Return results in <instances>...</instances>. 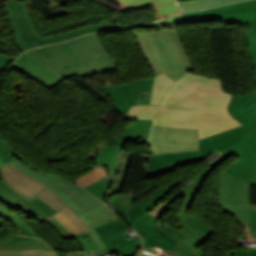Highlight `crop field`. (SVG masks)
<instances>
[{"label":"crop field","instance_id":"dafd665d","mask_svg":"<svg viewBox=\"0 0 256 256\" xmlns=\"http://www.w3.org/2000/svg\"><path fill=\"white\" fill-rule=\"evenodd\" d=\"M8 210V208L0 203V216L3 215L8 220H12L20 235L39 237L25 222L19 218V216L15 217ZM0 225H3L1 221Z\"/></svg>","mask_w":256,"mask_h":256},{"label":"crop field","instance_id":"34b2d1b8","mask_svg":"<svg viewBox=\"0 0 256 256\" xmlns=\"http://www.w3.org/2000/svg\"><path fill=\"white\" fill-rule=\"evenodd\" d=\"M10 68L49 89L68 77L77 75L83 79L117 66L95 33L27 51Z\"/></svg>","mask_w":256,"mask_h":256},{"label":"crop field","instance_id":"5866460e","mask_svg":"<svg viewBox=\"0 0 256 256\" xmlns=\"http://www.w3.org/2000/svg\"><path fill=\"white\" fill-rule=\"evenodd\" d=\"M251 182L256 184V168H255V171L253 173Z\"/></svg>","mask_w":256,"mask_h":256},{"label":"crop field","instance_id":"214f88e0","mask_svg":"<svg viewBox=\"0 0 256 256\" xmlns=\"http://www.w3.org/2000/svg\"><path fill=\"white\" fill-rule=\"evenodd\" d=\"M173 82L174 81L165 74L155 76L150 104L157 105L159 100L167 92Z\"/></svg>","mask_w":256,"mask_h":256},{"label":"crop field","instance_id":"22f410ed","mask_svg":"<svg viewBox=\"0 0 256 256\" xmlns=\"http://www.w3.org/2000/svg\"><path fill=\"white\" fill-rule=\"evenodd\" d=\"M0 202L7 206L9 209L21 210L27 216L33 218L38 222H42L43 220H45L59 233L63 240L71 238V236L64 229V227L55 219L50 217L57 212L40 199L37 198L29 202L1 182Z\"/></svg>","mask_w":256,"mask_h":256},{"label":"crop field","instance_id":"412701ff","mask_svg":"<svg viewBox=\"0 0 256 256\" xmlns=\"http://www.w3.org/2000/svg\"><path fill=\"white\" fill-rule=\"evenodd\" d=\"M228 110L243 125L200 140V151L151 156L150 167L143 178L175 170L174 167L203 160L217 151L223 153L256 130V92L233 96Z\"/></svg>","mask_w":256,"mask_h":256},{"label":"crop field","instance_id":"5a996713","mask_svg":"<svg viewBox=\"0 0 256 256\" xmlns=\"http://www.w3.org/2000/svg\"><path fill=\"white\" fill-rule=\"evenodd\" d=\"M0 177L6 185L29 201L38 197L56 211L63 212L85 235L90 233L82 221L48 187L34 180L9 162L0 166Z\"/></svg>","mask_w":256,"mask_h":256},{"label":"crop field","instance_id":"bd1437ed","mask_svg":"<svg viewBox=\"0 0 256 256\" xmlns=\"http://www.w3.org/2000/svg\"><path fill=\"white\" fill-rule=\"evenodd\" d=\"M226 256H256V248L248 247L247 250H231Z\"/></svg>","mask_w":256,"mask_h":256},{"label":"crop field","instance_id":"00972430","mask_svg":"<svg viewBox=\"0 0 256 256\" xmlns=\"http://www.w3.org/2000/svg\"><path fill=\"white\" fill-rule=\"evenodd\" d=\"M239 0H191V1H180L178 5L183 11L197 10L212 6H217L229 2H234Z\"/></svg>","mask_w":256,"mask_h":256},{"label":"crop field","instance_id":"750c4746","mask_svg":"<svg viewBox=\"0 0 256 256\" xmlns=\"http://www.w3.org/2000/svg\"><path fill=\"white\" fill-rule=\"evenodd\" d=\"M74 237L78 240V242L81 244V246L83 247V249L85 251H87V250H96L93 243L91 242V240L88 238L87 235L84 236L81 233L79 235H75Z\"/></svg>","mask_w":256,"mask_h":256},{"label":"crop field","instance_id":"ac0d7876","mask_svg":"<svg viewBox=\"0 0 256 256\" xmlns=\"http://www.w3.org/2000/svg\"><path fill=\"white\" fill-rule=\"evenodd\" d=\"M211 166L198 173L189 185L176 194L186 198L178 213V222L182 229L176 230L167 224L156 227V218L145 211L153 206L158 200L167 195L180 181L161 187L141 201L134 204L126 213L121 216L129 222L133 228L146 240L141 251L155 256L158 252L167 251L173 256H203L195 247L204 243L213 233L202 220L195 216L187 215L189 206L195 195L201 188Z\"/></svg>","mask_w":256,"mask_h":256},{"label":"crop field","instance_id":"e52e79f7","mask_svg":"<svg viewBox=\"0 0 256 256\" xmlns=\"http://www.w3.org/2000/svg\"><path fill=\"white\" fill-rule=\"evenodd\" d=\"M219 203L246 230L241 238L256 240V206L249 205V184L226 173L219 176Z\"/></svg>","mask_w":256,"mask_h":256},{"label":"crop field","instance_id":"d8731c3e","mask_svg":"<svg viewBox=\"0 0 256 256\" xmlns=\"http://www.w3.org/2000/svg\"><path fill=\"white\" fill-rule=\"evenodd\" d=\"M3 5L13 27L19 50L22 52L33 47L98 31V24H95L41 38L24 4L18 5L17 2L13 0Z\"/></svg>","mask_w":256,"mask_h":256},{"label":"crop field","instance_id":"d1516ede","mask_svg":"<svg viewBox=\"0 0 256 256\" xmlns=\"http://www.w3.org/2000/svg\"><path fill=\"white\" fill-rule=\"evenodd\" d=\"M152 155L199 150L198 129L154 126L150 136Z\"/></svg>","mask_w":256,"mask_h":256},{"label":"crop field","instance_id":"bc2a9ffb","mask_svg":"<svg viewBox=\"0 0 256 256\" xmlns=\"http://www.w3.org/2000/svg\"><path fill=\"white\" fill-rule=\"evenodd\" d=\"M153 79H142L128 82L137 104H149Z\"/></svg>","mask_w":256,"mask_h":256},{"label":"crop field","instance_id":"d9b57169","mask_svg":"<svg viewBox=\"0 0 256 256\" xmlns=\"http://www.w3.org/2000/svg\"><path fill=\"white\" fill-rule=\"evenodd\" d=\"M78 217L83 221V223L92 232L91 236L96 241L99 249L100 250L106 249L103 242L98 237V235L95 232L93 227L103 224L105 222L111 221L113 219H116L117 217H116L115 213L103 204L101 206H98L96 208H93L87 212H84V213L78 215Z\"/></svg>","mask_w":256,"mask_h":256},{"label":"crop field","instance_id":"d3111659","mask_svg":"<svg viewBox=\"0 0 256 256\" xmlns=\"http://www.w3.org/2000/svg\"><path fill=\"white\" fill-rule=\"evenodd\" d=\"M178 195H174L172 196L170 199H168L167 201L163 202L162 204H160L157 208H155L153 211L149 212L150 214H153L157 217H160L167 209L170 208L169 204H171L175 199H177Z\"/></svg>","mask_w":256,"mask_h":256},{"label":"crop field","instance_id":"28ad6ade","mask_svg":"<svg viewBox=\"0 0 256 256\" xmlns=\"http://www.w3.org/2000/svg\"><path fill=\"white\" fill-rule=\"evenodd\" d=\"M2 161L4 163L7 161L11 162L17 168L29 174L34 179L49 186L76 215L102 204L99 200L75 183L44 175L12 156L2 159Z\"/></svg>","mask_w":256,"mask_h":256},{"label":"crop field","instance_id":"a9b5d70f","mask_svg":"<svg viewBox=\"0 0 256 256\" xmlns=\"http://www.w3.org/2000/svg\"><path fill=\"white\" fill-rule=\"evenodd\" d=\"M106 176L105 170L99 167H94L91 171L73 181L84 188Z\"/></svg>","mask_w":256,"mask_h":256},{"label":"crop field","instance_id":"1d83c4d3","mask_svg":"<svg viewBox=\"0 0 256 256\" xmlns=\"http://www.w3.org/2000/svg\"><path fill=\"white\" fill-rule=\"evenodd\" d=\"M11 57L0 53V72L4 69L5 65L11 61Z\"/></svg>","mask_w":256,"mask_h":256},{"label":"crop field","instance_id":"733c2abd","mask_svg":"<svg viewBox=\"0 0 256 256\" xmlns=\"http://www.w3.org/2000/svg\"><path fill=\"white\" fill-rule=\"evenodd\" d=\"M102 88L122 116L128 112L131 106L136 105L127 83Z\"/></svg>","mask_w":256,"mask_h":256},{"label":"crop field","instance_id":"730fd06b","mask_svg":"<svg viewBox=\"0 0 256 256\" xmlns=\"http://www.w3.org/2000/svg\"><path fill=\"white\" fill-rule=\"evenodd\" d=\"M12 155L13 157L19 159L20 161L26 163L27 165H29L30 167L46 174V172L42 171L41 169L31 165L30 163H28L25 159H23L21 156H19L14 149L11 147V145L9 143H7L4 139L0 138V159L8 157ZM0 164H3V162L0 160ZM25 164V165H26Z\"/></svg>","mask_w":256,"mask_h":256},{"label":"crop field","instance_id":"8a807250","mask_svg":"<svg viewBox=\"0 0 256 256\" xmlns=\"http://www.w3.org/2000/svg\"><path fill=\"white\" fill-rule=\"evenodd\" d=\"M231 97L222 92L220 80L187 72L172 85L160 105L192 111L142 105L132 107L124 118L146 117L158 126L199 128L201 139L241 125L227 111Z\"/></svg>","mask_w":256,"mask_h":256},{"label":"crop field","instance_id":"cbeb9de0","mask_svg":"<svg viewBox=\"0 0 256 256\" xmlns=\"http://www.w3.org/2000/svg\"><path fill=\"white\" fill-rule=\"evenodd\" d=\"M232 154L236 155L240 159L225 172L250 183L256 164V131L222 154L210 165L215 167Z\"/></svg>","mask_w":256,"mask_h":256},{"label":"crop field","instance_id":"92a150f3","mask_svg":"<svg viewBox=\"0 0 256 256\" xmlns=\"http://www.w3.org/2000/svg\"><path fill=\"white\" fill-rule=\"evenodd\" d=\"M127 227L129 226L121 218H119L114 221L95 227V230L104 242Z\"/></svg>","mask_w":256,"mask_h":256},{"label":"crop field","instance_id":"3316defc","mask_svg":"<svg viewBox=\"0 0 256 256\" xmlns=\"http://www.w3.org/2000/svg\"><path fill=\"white\" fill-rule=\"evenodd\" d=\"M183 18V24L215 20H223L225 25L251 23L252 32L245 33V36L256 73V0L183 13Z\"/></svg>","mask_w":256,"mask_h":256},{"label":"crop field","instance_id":"dd49c442","mask_svg":"<svg viewBox=\"0 0 256 256\" xmlns=\"http://www.w3.org/2000/svg\"><path fill=\"white\" fill-rule=\"evenodd\" d=\"M151 126L152 120L136 119L129 128L115 136L112 141L110 140V143L102 140L86 156L93 159L94 164H103L107 168L113 182L109 198L117 192L120 193L133 154L122 151V146L126 141L148 143Z\"/></svg>","mask_w":256,"mask_h":256},{"label":"crop field","instance_id":"120bbe31","mask_svg":"<svg viewBox=\"0 0 256 256\" xmlns=\"http://www.w3.org/2000/svg\"><path fill=\"white\" fill-rule=\"evenodd\" d=\"M30 239V237H21V236H16L15 238H12L10 240L4 241L0 244H4V243H10V242H16V241H22V240H27Z\"/></svg>","mask_w":256,"mask_h":256},{"label":"crop field","instance_id":"4a817a6b","mask_svg":"<svg viewBox=\"0 0 256 256\" xmlns=\"http://www.w3.org/2000/svg\"><path fill=\"white\" fill-rule=\"evenodd\" d=\"M125 230H123L122 232H124ZM122 232L104 242L107 251H109V254L118 252L119 254H121V256H132L140 246L135 236L128 239L127 237L121 234ZM126 250H128V252H126Z\"/></svg>","mask_w":256,"mask_h":256},{"label":"crop field","instance_id":"ae1a2a85","mask_svg":"<svg viewBox=\"0 0 256 256\" xmlns=\"http://www.w3.org/2000/svg\"><path fill=\"white\" fill-rule=\"evenodd\" d=\"M52 217L58 220L66 228V230L70 233L71 236L74 234L81 233L79 229L61 212Z\"/></svg>","mask_w":256,"mask_h":256},{"label":"crop field","instance_id":"f4fd0767","mask_svg":"<svg viewBox=\"0 0 256 256\" xmlns=\"http://www.w3.org/2000/svg\"><path fill=\"white\" fill-rule=\"evenodd\" d=\"M138 45L154 75L165 73L174 81L194 70L182 47L176 27L173 31L136 32Z\"/></svg>","mask_w":256,"mask_h":256},{"label":"crop field","instance_id":"eef30255","mask_svg":"<svg viewBox=\"0 0 256 256\" xmlns=\"http://www.w3.org/2000/svg\"><path fill=\"white\" fill-rule=\"evenodd\" d=\"M86 190H88L90 193L98 197L100 200L105 202V193L108 189V179L107 177L86 187Z\"/></svg>","mask_w":256,"mask_h":256},{"label":"crop field","instance_id":"4177f3b9","mask_svg":"<svg viewBox=\"0 0 256 256\" xmlns=\"http://www.w3.org/2000/svg\"><path fill=\"white\" fill-rule=\"evenodd\" d=\"M133 196H134V193L116 195V196H113L109 202L114 206V208L118 211V213L121 214L127 211L132 206Z\"/></svg>","mask_w":256,"mask_h":256},{"label":"crop field","instance_id":"5142ce71","mask_svg":"<svg viewBox=\"0 0 256 256\" xmlns=\"http://www.w3.org/2000/svg\"><path fill=\"white\" fill-rule=\"evenodd\" d=\"M0 256H58L40 239L0 245Z\"/></svg>","mask_w":256,"mask_h":256},{"label":"crop field","instance_id":"d32e631a","mask_svg":"<svg viewBox=\"0 0 256 256\" xmlns=\"http://www.w3.org/2000/svg\"><path fill=\"white\" fill-rule=\"evenodd\" d=\"M108 25H109V29H110V30H119V29H123V26H122L121 24L108 22Z\"/></svg>","mask_w":256,"mask_h":256}]
</instances>
